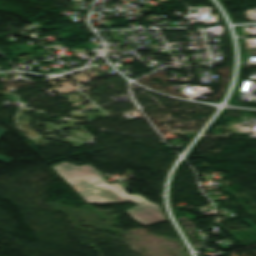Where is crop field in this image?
<instances>
[{
    "mask_svg": "<svg viewBox=\"0 0 256 256\" xmlns=\"http://www.w3.org/2000/svg\"><path fill=\"white\" fill-rule=\"evenodd\" d=\"M4 133H6V130L0 128V137H1ZM10 161H12V159L5 158V157L0 156V162H3V163L8 164Z\"/></svg>",
    "mask_w": 256,
    "mask_h": 256,
    "instance_id": "obj_2",
    "label": "crop field"
},
{
    "mask_svg": "<svg viewBox=\"0 0 256 256\" xmlns=\"http://www.w3.org/2000/svg\"><path fill=\"white\" fill-rule=\"evenodd\" d=\"M52 167L87 203L114 204L129 201L137 206L127 212L141 225L166 221L158 206L139 195H127L119 183H105L102 175L89 165L76 167L63 162Z\"/></svg>",
    "mask_w": 256,
    "mask_h": 256,
    "instance_id": "obj_1",
    "label": "crop field"
}]
</instances>
